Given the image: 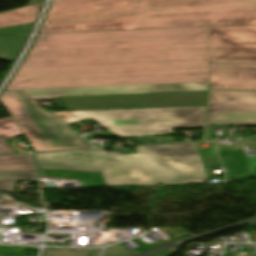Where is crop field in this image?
<instances>
[{
	"label": "crop field",
	"instance_id": "19",
	"mask_svg": "<svg viewBox=\"0 0 256 256\" xmlns=\"http://www.w3.org/2000/svg\"><path fill=\"white\" fill-rule=\"evenodd\" d=\"M208 177L222 176L211 175L209 168L221 167L217 157L201 158Z\"/></svg>",
	"mask_w": 256,
	"mask_h": 256
},
{
	"label": "crop field",
	"instance_id": "16",
	"mask_svg": "<svg viewBox=\"0 0 256 256\" xmlns=\"http://www.w3.org/2000/svg\"><path fill=\"white\" fill-rule=\"evenodd\" d=\"M37 180L35 171L0 172V189L14 190L13 181Z\"/></svg>",
	"mask_w": 256,
	"mask_h": 256
},
{
	"label": "crop field",
	"instance_id": "7",
	"mask_svg": "<svg viewBox=\"0 0 256 256\" xmlns=\"http://www.w3.org/2000/svg\"><path fill=\"white\" fill-rule=\"evenodd\" d=\"M210 28V62L256 63V26Z\"/></svg>",
	"mask_w": 256,
	"mask_h": 256
},
{
	"label": "crop field",
	"instance_id": "21",
	"mask_svg": "<svg viewBox=\"0 0 256 256\" xmlns=\"http://www.w3.org/2000/svg\"><path fill=\"white\" fill-rule=\"evenodd\" d=\"M38 1H40V0H30V4H34V3L38 2Z\"/></svg>",
	"mask_w": 256,
	"mask_h": 256
},
{
	"label": "crop field",
	"instance_id": "14",
	"mask_svg": "<svg viewBox=\"0 0 256 256\" xmlns=\"http://www.w3.org/2000/svg\"><path fill=\"white\" fill-rule=\"evenodd\" d=\"M22 135L12 117L0 119V154L16 152L4 140Z\"/></svg>",
	"mask_w": 256,
	"mask_h": 256
},
{
	"label": "crop field",
	"instance_id": "13",
	"mask_svg": "<svg viewBox=\"0 0 256 256\" xmlns=\"http://www.w3.org/2000/svg\"><path fill=\"white\" fill-rule=\"evenodd\" d=\"M25 40L26 36L0 37V59L14 61Z\"/></svg>",
	"mask_w": 256,
	"mask_h": 256
},
{
	"label": "crop field",
	"instance_id": "22",
	"mask_svg": "<svg viewBox=\"0 0 256 256\" xmlns=\"http://www.w3.org/2000/svg\"><path fill=\"white\" fill-rule=\"evenodd\" d=\"M251 226H256V223H254V224H250Z\"/></svg>",
	"mask_w": 256,
	"mask_h": 256
},
{
	"label": "crop field",
	"instance_id": "2",
	"mask_svg": "<svg viewBox=\"0 0 256 256\" xmlns=\"http://www.w3.org/2000/svg\"><path fill=\"white\" fill-rule=\"evenodd\" d=\"M256 24V0H141L44 21L40 33Z\"/></svg>",
	"mask_w": 256,
	"mask_h": 256
},
{
	"label": "crop field",
	"instance_id": "3",
	"mask_svg": "<svg viewBox=\"0 0 256 256\" xmlns=\"http://www.w3.org/2000/svg\"><path fill=\"white\" fill-rule=\"evenodd\" d=\"M137 154L98 150L36 154L39 169L101 172L107 186L205 181L195 142L136 147Z\"/></svg>",
	"mask_w": 256,
	"mask_h": 256
},
{
	"label": "crop field",
	"instance_id": "10",
	"mask_svg": "<svg viewBox=\"0 0 256 256\" xmlns=\"http://www.w3.org/2000/svg\"><path fill=\"white\" fill-rule=\"evenodd\" d=\"M139 1L140 0H56L52 1L45 20Z\"/></svg>",
	"mask_w": 256,
	"mask_h": 256
},
{
	"label": "crop field",
	"instance_id": "6",
	"mask_svg": "<svg viewBox=\"0 0 256 256\" xmlns=\"http://www.w3.org/2000/svg\"><path fill=\"white\" fill-rule=\"evenodd\" d=\"M60 99L69 110L194 106L206 105L207 92L70 96Z\"/></svg>",
	"mask_w": 256,
	"mask_h": 256
},
{
	"label": "crop field",
	"instance_id": "15",
	"mask_svg": "<svg viewBox=\"0 0 256 256\" xmlns=\"http://www.w3.org/2000/svg\"><path fill=\"white\" fill-rule=\"evenodd\" d=\"M35 170L29 154L0 156V171Z\"/></svg>",
	"mask_w": 256,
	"mask_h": 256
},
{
	"label": "crop field",
	"instance_id": "8",
	"mask_svg": "<svg viewBox=\"0 0 256 256\" xmlns=\"http://www.w3.org/2000/svg\"><path fill=\"white\" fill-rule=\"evenodd\" d=\"M207 124L256 125V91L210 90Z\"/></svg>",
	"mask_w": 256,
	"mask_h": 256
},
{
	"label": "crop field",
	"instance_id": "1",
	"mask_svg": "<svg viewBox=\"0 0 256 256\" xmlns=\"http://www.w3.org/2000/svg\"><path fill=\"white\" fill-rule=\"evenodd\" d=\"M209 27L37 36L5 90L208 81Z\"/></svg>",
	"mask_w": 256,
	"mask_h": 256
},
{
	"label": "crop field",
	"instance_id": "5",
	"mask_svg": "<svg viewBox=\"0 0 256 256\" xmlns=\"http://www.w3.org/2000/svg\"><path fill=\"white\" fill-rule=\"evenodd\" d=\"M206 106L54 112L67 124L92 118L109 131L86 136L171 134L172 129L203 128Z\"/></svg>",
	"mask_w": 256,
	"mask_h": 256
},
{
	"label": "crop field",
	"instance_id": "12",
	"mask_svg": "<svg viewBox=\"0 0 256 256\" xmlns=\"http://www.w3.org/2000/svg\"><path fill=\"white\" fill-rule=\"evenodd\" d=\"M43 3L0 13V27L34 21Z\"/></svg>",
	"mask_w": 256,
	"mask_h": 256
},
{
	"label": "crop field",
	"instance_id": "11",
	"mask_svg": "<svg viewBox=\"0 0 256 256\" xmlns=\"http://www.w3.org/2000/svg\"><path fill=\"white\" fill-rule=\"evenodd\" d=\"M227 177L249 175V168L242 150L218 152Z\"/></svg>",
	"mask_w": 256,
	"mask_h": 256
},
{
	"label": "crop field",
	"instance_id": "20",
	"mask_svg": "<svg viewBox=\"0 0 256 256\" xmlns=\"http://www.w3.org/2000/svg\"><path fill=\"white\" fill-rule=\"evenodd\" d=\"M99 186H104V184H99V185H89V186H86V187H99Z\"/></svg>",
	"mask_w": 256,
	"mask_h": 256
},
{
	"label": "crop field",
	"instance_id": "4",
	"mask_svg": "<svg viewBox=\"0 0 256 256\" xmlns=\"http://www.w3.org/2000/svg\"><path fill=\"white\" fill-rule=\"evenodd\" d=\"M208 82L129 85L107 87L61 88L4 91L0 101L9 111L35 151L92 147L68 126L39 107L36 100L58 99V96L207 91Z\"/></svg>",
	"mask_w": 256,
	"mask_h": 256
},
{
	"label": "crop field",
	"instance_id": "18",
	"mask_svg": "<svg viewBox=\"0 0 256 256\" xmlns=\"http://www.w3.org/2000/svg\"><path fill=\"white\" fill-rule=\"evenodd\" d=\"M24 249L38 251L36 247L0 246V256H24Z\"/></svg>",
	"mask_w": 256,
	"mask_h": 256
},
{
	"label": "crop field",
	"instance_id": "17",
	"mask_svg": "<svg viewBox=\"0 0 256 256\" xmlns=\"http://www.w3.org/2000/svg\"><path fill=\"white\" fill-rule=\"evenodd\" d=\"M32 25H33V22L21 24V25L10 26V27H5V28H0V35L28 34Z\"/></svg>",
	"mask_w": 256,
	"mask_h": 256
},
{
	"label": "crop field",
	"instance_id": "9",
	"mask_svg": "<svg viewBox=\"0 0 256 256\" xmlns=\"http://www.w3.org/2000/svg\"><path fill=\"white\" fill-rule=\"evenodd\" d=\"M210 89L256 90V64L210 63Z\"/></svg>",
	"mask_w": 256,
	"mask_h": 256
}]
</instances>
